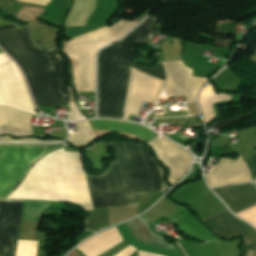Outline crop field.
Instances as JSON below:
<instances>
[{
	"label": "crop field",
	"mask_w": 256,
	"mask_h": 256,
	"mask_svg": "<svg viewBox=\"0 0 256 256\" xmlns=\"http://www.w3.org/2000/svg\"><path fill=\"white\" fill-rule=\"evenodd\" d=\"M117 160L102 176L87 177L94 209L138 205V194L166 192L164 171L148 148L134 142H111Z\"/></svg>",
	"instance_id": "crop-field-1"
},
{
	"label": "crop field",
	"mask_w": 256,
	"mask_h": 256,
	"mask_svg": "<svg viewBox=\"0 0 256 256\" xmlns=\"http://www.w3.org/2000/svg\"><path fill=\"white\" fill-rule=\"evenodd\" d=\"M0 46L24 70L37 105L69 103L62 58L56 49L47 52L25 27L0 32Z\"/></svg>",
	"instance_id": "crop-field-2"
},
{
	"label": "crop field",
	"mask_w": 256,
	"mask_h": 256,
	"mask_svg": "<svg viewBox=\"0 0 256 256\" xmlns=\"http://www.w3.org/2000/svg\"><path fill=\"white\" fill-rule=\"evenodd\" d=\"M157 19L147 17L136 29L99 54L98 117L121 119L136 42H148Z\"/></svg>",
	"instance_id": "crop-field-3"
},
{
	"label": "crop field",
	"mask_w": 256,
	"mask_h": 256,
	"mask_svg": "<svg viewBox=\"0 0 256 256\" xmlns=\"http://www.w3.org/2000/svg\"><path fill=\"white\" fill-rule=\"evenodd\" d=\"M49 145H0V197H7Z\"/></svg>",
	"instance_id": "crop-field-4"
},
{
	"label": "crop field",
	"mask_w": 256,
	"mask_h": 256,
	"mask_svg": "<svg viewBox=\"0 0 256 256\" xmlns=\"http://www.w3.org/2000/svg\"><path fill=\"white\" fill-rule=\"evenodd\" d=\"M0 105L37 116L24 79L14 62L0 67Z\"/></svg>",
	"instance_id": "crop-field-5"
},
{
	"label": "crop field",
	"mask_w": 256,
	"mask_h": 256,
	"mask_svg": "<svg viewBox=\"0 0 256 256\" xmlns=\"http://www.w3.org/2000/svg\"><path fill=\"white\" fill-rule=\"evenodd\" d=\"M163 81L132 68L122 119L138 115L144 102L155 104L161 94Z\"/></svg>",
	"instance_id": "crop-field-6"
},
{
	"label": "crop field",
	"mask_w": 256,
	"mask_h": 256,
	"mask_svg": "<svg viewBox=\"0 0 256 256\" xmlns=\"http://www.w3.org/2000/svg\"><path fill=\"white\" fill-rule=\"evenodd\" d=\"M183 63L182 61L163 63L167 76L164 91L170 97L186 96V101H192L196 99L198 90L206 79L193 77L192 69L187 68Z\"/></svg>",
	"instance_id": "crop-field-7"
},
{
	"label": "crop field",
	"mask_w": 256,
	"mask_h": 256,
	"mask_svg": "<svg viewBox=\"0 0 256 256\" xmlns=\"http://www.w3.org/2000/svg\"><path fill=\"white\" fill-rule=\"evenodd\" d=\"M22 204L0 199V256H15Z\"/></svg>",
	"instance_id": "crop-field-8"
},
{
	"label": "crop field",
	"mask_w": 256,
	"mask_h": 256,
	"mask_svg": "<svg viewBox=\"0 0 256 256\" xmlns=\"http://www.w3.org/2000/svg\"><path fill=\"white\" fill-rule=\"evenodd\" d=\"M211 228L225 238L242 234L245 244L256 241V230L235 218L228 210L203 219Z\"/></svg>",
	"instance_id": "crop-field-9"
},
{
	"label": "crop field",
	"mask_w": 256,
	"mask_h": 256,
	"mask_svg": "<svg viewBox=\"0 0 256 256\" xmlns=\"http://www.w3.org/2000/svg\"><path fill=\"white\" fill-rule=\"evenodd\" d=\"M214 190L235 213L256 205V190L251 183L226 186Z\"/></svg>",
	"instance_id": "crop-field-10"
},
{
	"label": "crop field",
	"mask_w": 256,
	"mask_h": 256,
	"mask_svg": "<svg viewBox=\"0 0 256 256\" xmlns=\"http://www.w3.org/2000/svg\"><path fill=\"white\" fill-rule=\"evenodd\" d=\"M55 202L24 201L22 219L39 220L40 212ZM21 220L18 240H44L46 234L36 230L39 221Z\"/></svg>",
	"instance_id": "crop-field-11"
},
{
	"label": "crop field",
	"mask_w": 256,
	"mask_h": 256,
	"mask_svg": "<svg viewBox=\"0 0 256 256\" xmlns=\"http://www.w3.org/2000/svg\"><path fill=\"white\" fill-rule=\"evenodd\" d=\"M30 120V115L0 107V135L10 134L15 137L33 136Z\"/></svg>",
	"instance_id": "crop-field-12"
},
{
	"label": "crop field",
	"mask_w": 256,
	"mask_h": 256,
	"mask_svg": "<svg viewBox=\"0 0 256 256\" xmlns=\"http://www.w3.org/2000/svg\"><path fill=\"white\" fill-rule=\"evenodd\" d=\"M90 122L94 130L127 132L134 134L148 142L156 138L154 135L157 134L148 128L132 123H122L111 120H91Z\"/></svg>",
	"instance_id": "crop-field-13"
},
{
	"label": "crop field",
	"mask_w": 256,
	"mask_h": 256,
	"mask_svg": "<svg viewBox=\"0 0 256 256\" xmlns=\"http://www.w3.org/2000/svg\"><path fill=\"white\" fill-rule=\"evenodd\" d=\"M132 231V233L140 240L148 243V244H151V245H157V246H162V247H166V248H171L173 249L172 245H168L164 238L162 237H159L155 234H153L150 230H149V226H148V223L143 221V220H140V219H137V220H134L130 223H127ZM179 244V243H178ZM178 244H174L175 247L178 249V251L181 253L182 256H186L185 255V251L183 250V248L181 247V245L179 244V246L182 248V251L181 248L178 246Z\"/></svg>",
	"instance_id": "crop-field-14"
},
{
	"label": "crop field",
	"mask_w": 256,
	"mask_h": 256,
	"mask_svg": "<svg viewBox=\"0 0 256 256\" xmlns=\"http://www.w3.org/2000/svg\"><path fill=\"white\" fill-rule=\"evenodd\" d=\"M111 209H101L97 211H87L90 214L87 228L88 230H98L109 225Z\"/></svg>",
	"instance_id": "crop-field-15"
},
{
	"label": "crop field",
	"mask_w": 256,
	"mask_h": 256,
	"mask_svg": "<svg viewBox=\"0 0 256 256\" xmlns=\"http://www.w3.org/2000/svg\"><path fill=\"white\" fill-rule=\"evenodd\" d=\"M39 241H18L16 256H36Z\"/></svg>",
	"instance_id": "crop-field-16"
},
{
	"label": "crop field",
	"mask_w": 256,
	"mask_h": 256,
	"mask_svg": "<svg viewBox=\"0 0 256 256\" xmlns=\"http://www.w3.org/2000/svg\"><path fill=\"white\" fill-rule=\"evenodd\" d=\"M133 68L140 70L144 73H147L149 75H152L156 78H159L161 80L165 81V74H164V70H163V66H162V62H158V64L152 68H148V67H139L138 65L135 64V62H133L132 65Z\"/></svg>",
	"instance_id": "crop-field-17"
},
{
	"label": "crop field",
	"mask_w": 256,
	"mask_h": 256,
	"mask_svg": "<svg viewBox=\"0 0 256 256\" xmlns=\"http://www.w3.org/2000/svg\"><path fill=\"white\" fill-rule=\"evenodd\" d=\"M70 93H71V99H70V103L69 106L71 108V113L68 117V120H83V119H87V117L82 113L79 112V107L76 104V95L74 93L73 90L70 89Z\"/></svg>",
	"instance_id": "crop-field-18"
},
{
	"label": "crop field",
	"mask_w": 256,
	"mask_h": 256,
	"mask_svg": "<svg viewBox=\"0 0 256 256\" xmlns=\"http://www.w3.org/2000/svg\"><path fill=\"white\" fill-rule=\"evenodd\" d=\"M241 156L244 158V160L246 161L250 169L252 179L255 180L256 179V151L241 154Z\"/></svg>",
	"instance_id": "crop-field-19"
},
{
	"label": "crop field",
	"mask_w": 256,
	"mask_h": 256,
	"mask_svg": "<svg viewBox=\"0 0 256 256\" xmlns=\"http://www.w3.org/2000/svg\"><path fill=\"white\" fill-rule=\"evenodd\" d=\"M247 253L256 252V242L243 247Z\"/></svg>",
	"instance_id": "crop-field-20"
},
{
	"label": "crop field",
	"mask_w": 256,
	"mask_h": 256,
	"mask_svg": "<svg viewBox=\"0 0 256 256\" xmlns=\"http://www.w3.org/2000/svg\"><path fill=\"white\" fill-rule=\"evenodd\" d=\"M16 27H20V25L15 23L13 25H8V26L0 27V31L11 29V28H16Z\"/></svg>",
	"instance_id": "crop-field-21"
},
{
	"label": "crop field",
	"mask_w": 256,
	"mask_h": 256,
	"mask_svg": "<svg viewBox=\"0 0 256 256\" xmlns=\"http://www.w3.org/2000/svg\"><path fill=\"white\" fill-rule=\"evenodd\" d=\"M10 23H12V22H7V21L3 20L2 18H0V26L10 24Z\"/></svg>",
	"instance_id": "crop-field-22"
}]
</instances>
